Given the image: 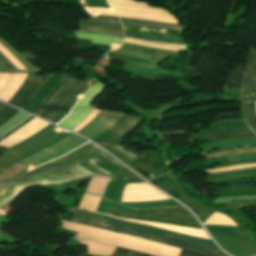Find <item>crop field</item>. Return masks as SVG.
<instances>
[{"instance_id": "crop-field-54", "label": "crop field", "mask_w": 256, "mask_h": 256, "mask_svg": "<svg viewBox=\"0 0 256 256\" xmlns=\"http://www.w3.org/2000/svg\"><path fill=\"white\" fill-rule=\"evenodd\" d=\"M113 148L118 150V151H120L121 153L125 154L126 156H128V157H130L132 159L137 158L135 155L129 153L128 151L124 150L123 148H121L120 146H118L116 144L113 146Z\"/></svg>"}, {"instance_id": "crop-field-58", "label": "crop field", "mask_w": 256, "mask_h": 256, "mask_svg": "<svg viewBox=\"0 0 256 256\" xmlns=\"http://www.w3.org/2000/svg\"><path fill=\"white\" fill-rule=\"evenodd\" d=\"M154 185H156L158 188L162 189L163 191H165L166 193L170 194L171 196L175 197V198H180L178 196H176L175 194H173L172 192H170L168 189H166L164 186H162L161 184L157 183V182H154V181H151Z\"/></svg>"}, {"instance_id": "crop-field-51", "label": "crop field", "mask_w": 256, "mask_h": 256, "mask_svg": "<svg viewBox=\"0 0 256 256\" xmlns=\"http://www.w3.org/2000/svg\"><path fill=\"white\" fill-rule=\"evenodd\" d=\"M108 151H110L114 156H116L118 159H120L122 162L124 163H128L129 161H131L132 159L124 156L123 154L117 152L116 150L114 149H109Z\"/></svg>"}, {"instance_id": "crop-field-49", "label": "crop field", "mask_w": 256, "mask_h": 256, "mask_svg": "<svg viewBox=\"0 0 256 256\" xmlns=\"http://www.w3.org/2000/svg\"><path fill=\"white\" fill-rule=\"evenodd\" d=\"M99 110L94 109L93 112L88 116V118L83 121L80 125H78L73 131L77 132L80 130L83 126H85L88 122H90L97 114Z\"/></svg>"}, {"instance_id": "crop-field-37", "label": "crop field", "mask_w": 256, "mask_h": 256, "mask_svg": "<svg viewBox=\"0 0 256 256\" xmlns=\"http://www.w3.org/2000/svg\"><path fill=\"white\" fill-rule=\"evenodd\" d=\"M71 135H73V134H71V133H69V132L66 133L65 135H63V136L60 137L59 139H57V140H55V141H53V142L47 144L46 146H44V147H42V148H40V149H38V150H36V151H34V152L28 154V155H26V156H24V157H22V158L16 160L15 162L11 163V164L8 165L7 167H5V168H3L2 170H0V173H2V172H3L4 170H6L7 168H9V167H11V166L17 164L18 162H20V161H22V160H24V159H26V158H28V157L34 155V154H36V153H38V152H40V151L46 149V148H48V147L54 145L55 143H57V142H59V141L65 139V138H67V137H69V136H71Z\"/></svg>"}, {"instance_id": "crop-field-12", "label": "crop field", "mask_w": 256, "mask_h": 256, "mask_svg": "<svg viewBox=\"0 0 256 256\" xmlns=\"http://www.w3.org/2000/svg\"><path fill=\"white\" fill-rule=\"evenodd\" d=\"M256 64V50L251 49L247 62V72L244 79V87L242 94V105H243V115L245 120L250 124L251 128L256 133V125L254 123L253 115L250 108V95L252 87V76L254 73V68Z\"/></svg>"}, {"instance_id": "crop-field-3", "label": "crop field", "mask_w": 256, "mask_h": 256, "mask_svg": "<svg viewBox=\"0 0 256 256\" xmlns=\"http://www.w3.org/2000/svg\"><path fill=\"white\" fill-rule=\"evenodd\" d=\"M72 222L88 225L92 227L102 228L106 230H111V231H115L123 234H129L142 239H146V240H150V241H154L162 244H167L171 246H176V247H180V248H184V249H188V250H192L200 253H206V254H211L215 256H227L220 249L205 247V246H200V245H196V244H192V243H188L180 240H175V239L155 235L150 232L140 231V230L112 224V223L101 221V220H95V219L74 215Z\"/></svg>"}, {"instance_id": "crop-field-14", "label": "crop field", "mask_w": 256, "mask_h": 256, "mask_svg": "<svg viewBox=\"0 0 256 256\" xmlns=\"http://www.w3.org/2000/svg\"><path fill=\"white\" fill-rule=\"evenodd\" d=\"M152 51L161 53V54H156L153 53ZM111 53H117V54H122V55H128L144 60H150V61H155L158 62L162 58L166 57L168 53L171 54H178L179 52L177 51H168V50H159V49H151V48H146V47H141V46H136V45H131V44H126L119 48L116 51H113ZM148 54H153V55H160V56H151Z\"/></svg>"}, {"instance_id": "crop-field-34", "label": "crop field", "mask_w": 256, "mask_h": 256, "mask_svg": "<svg viewBox=\"0 0 256 256\" xmlns=\"http://www.w3.org/2000/svg\"><path fill=\"white\" fill-rule=\"evenodd\" d=\"M101 198L84 195L79 207L95 211Z\"/></svg>"}, {"instance_id": "crop-field-56", "label": "crop field", "mask_w": 256, "mask_h": 256, "mask_svg": "<svg viewBox=\"0 0 256 256\" xmlns=\"http://www.w3.org/2000/svg\"><path fill=\"white\" fill-rule=\"evenodd\" d=\"M121 20H125V21H135V22H144V23H152V24H161V25H169V26H179V25H175V24L158 23V22H149V21H141V20H133V19H124V18H121Z\"/></svg>"}, {"instance_id": "crop-field-16", "label": "crop field", "mask_w": 256, "mask_h": 256, "mask_svg": "<svg viewBox=\"0 0 256 256\" xmlns=\"http://www.w3.org/2000/svg\"><path fill=\"white\" fill-rule=\"evenodd\" d=\"M27 73H4L0 80V99L8 102L23 83Z\"/></svg>"}, {"instance_id": "crop-field-36", "label": "crop field", "mask_w": 256, "mask_h": 256, "mask_svg": "<svg viewBox=\"0 0 256 256\" xmlns=\"http://www.w3.org/2000/svg\"><path fill=\"white\" fill-rule=\"evenodd\" d=\"M209 218H220V219H230L228 216L224 214H220L215 212L211 217ZM205 224H215V225H231L236 226L234 221L232 220H219V219H207Z\"/></svg>"}, {"instance_id": "crop-field-65", "label": "crop field", "mask_w": 256, "mask_h": 256, "mask_svg": "<svg viewBox=\"0 0 256 256\" xmlns=\"http://www.w3.org/2000/svg\"><path fill=\"white\" fill-rule=\"evenodd\" d=\"M245 173H256V171H254V172H245ZM234 174H244V173H233V174H224V175H214V176H212V177L215 178V177L226 176V175H234Z\"/></svg>"}, {"instance_id": "crop-field-69", "label": "crop field", "mask_w": 256, "mask_h": 256, "mask_svg": "<svg viewBox=\"0 0 256 256\" xmlns=\"http://www.w3.org/2000/svg\"><path fill=\"white\" fill-rule=\"evenodd\" d=\"M87 161H89V162H91V163H93V164H95V163H97L98 162V160H96L95 158H90L89 160H87Z\"/></svg>"}, {"instance_id": "crop-field-9", "label": "crop field", "mask_w": 256, "mask_h": 256, "mask_svg": "<svg viewBox=\"0 0 256 256\" xmlns=\"http://www.w3.org/2000/svg\"><path fill=\"white\" fill-rule=\"evenodd\" d=\"M143 119L135 117L133 115H125L109 130L95 138L93 141L99 143L104 148H109L125 135L134 130ZM98 144V145H99ZM101 146V147H102Z\"/></svg>"}, {"instance_id": "crop-field-35", "label": "crop field", "mask_w": 256, "mask_h": 256, "mask_svg": "<svg viewBox=\"0 0 256 256\" xmlns=\"http://www.w3.org/2000/svg\"><path fill=\"white\" fill-rule=\"evenodd\" d=\"M107 56H108V58H111V59L141 64V65H147V66H152V67H154V65H155L154 62L144 61V60H140V59H136V58H132V57H128V56H122V55H116V54H110V53H107Z\"/></svg>"}, {"instance_id": "crop-field-40", "label": "crop field", "mask_w": 256, "mask_h": 256, "mask_svg": "<svg viewBox=\"0 0 256 256\" xmlns=\"http://www.w3.org/2000/svg\"><path fill=\"white\" fill-rule=\"evenodd\" d=\"M80 24L92 25V26H101V27H108V28H114V29L122 30L121 24L107 23V22H102V21H94V20L85 21V20H81Z\"/></svg>"}, {"instance_id": "crop-field-4", "label": "crop field", "mask_w": 256, "mask_h": 256, "mask_svg": "<svg viewBox=\"0 0 256 256\" xmlns=\"http://www.w3.org/2000/svg\"><path fill=\"white\" fill-rule=\"evenodd\" d=\"M97 82L99 81L94 79L90 83H86L72 77L50 100L47 106L40 112L39 116L57 124L76 103L77 99L75 98L79 94L84 95Z\"/></svg>"}, {"instance_id": "crop-field-47", "label": "crop field", "mask_w": 256, "mask_h": 256, "mask_svg": "<svg viewBox=\"0 0 256 256\" xmlns=\"http://www.w3.org/2000/svg\"><path fill=\"white\" fill-rule=\"evenodd\" d=\"M152 180H155V181L161 183L162 185H164L166 188H168L170 191H172L173 193L177 194L178 196H180V197L182 196V194H180L168 181L163 180V179H161L159 177L154 178Z\"/></svg>"}, {"instance_id": "crop-field-5", "label": "crop field", "mask_w": 256, "mask_h": 256, "mask_svg": "<svg viewBox=\"0 0 256 256\" xmlns=\"http://www.w3.org/2000/svg\"><path fill=\"white\" fill-rule=\"evenodd\" d=\"M107 214L129 218L139 219L158 223L172 224L178 226L192 227L201 229L192 214L184 209L168 208V209H154V210H142V211H112L108 210Z\"/></svg>"}, {"instance_id": "crop-field-30", "label": "crop field", "mask_w": 256, "mask_h": 256, "mask_svg": "<svg viewBox=\"0 0 256 256\" xmlns=\"http://www.w3.org/2000/svg\"><path fill=\"white\" fill-rule=\"evenodd\" d=\"M127 165H129L131 168L146 178L154 177L152 170L141 157L129 162Z\"/></svg>"}, {"instance_id": "crop-field-38", "label": "crop field", "mask_w": 256, "mask_h": 256, "mask_svg": "<svg viewBox=\"0 0 256 256\" xmlns=\"http://www.w3.org/2000/svg\"><path fill=\"white\" fill-rule=\"evenodd\" d=\"M248 152H256V148H249V149H235L231 151L219 152V153H212V154H205V156L210 158H219L227 155H235V154H242Z\"/></svg>"}, {"instance_id": "crop-field-26", "label": "crop field", "mask_w": 256, "mask_h": 256, "mask_svg": "<svg viewBox=\"0 0 256 256\" xmlns=\"http://www.w3.org/2000/svg\"><path fill=\"white\" fill-rule=\"evenodd\" d=\"M123 179L124 178L122 177L110 176V179L103 197L111 201H115L120 191Z\"/></svg>"}, {"instance_id": "crop-field-59", "label": "crop field", "mask_w": 256, "mask_h": 256, "mask_svg": "<svg viewBox=\"0 0 256 256\" xmlns=\"http://www.w3.org/2000/svg\"><path fill=\"white\" fill-rule=\"evenodd\" d=\"M116 144L120 145L121 147H123L124 149L128 150L129 152L135 154V155L138 156V157L142 155V154L138 153L137 151H135L134 149H132V148H130V147L124 145V144H121V143H119V142L116 143Z\"/></svg>"}, {"instance_id": "crop-field-20", "label": "crop field", "mask_w": 256, "mask_h": 256, "mask_svg": "<svg viewBox=\"0 0 256 256\" xmlns=\"http://www.w3.org/2000/svg\"><path fill=\"white\" fill-rule=\"evenodd\" d=\"M0 51H2L11 61H13L21 70H30L25 66L16 56H14L8 49L0 44ZM2 52H0V68L18 69Z\"/></svg>"}, {"instance_id": "crop-field-57", "label": "crop field", "mask_w": 256, "mask_h": 256, "mask_svg": "<svg viewBox=\"0 0 256 256\" xmlns=\"http://www.w3.org/2000/svg\"><path fill=\"white\" fill-rule=\"evenodd\" d=\"M184 204H186L197 216H199L200 218H202L203 220H205L206 216L203 215L202 213H200L198 210H196L194 207H192L191 205H189L188 203H186L185 201L181 200Z\"/></svg>"}, {"instance_id": "crop-field-46", "label": "crop field", "mask_w": 256, "mask_h": 256, "mask_svg": "<svg viewBox=\"0 0 256 256\" xmlns=\"http://www.w3.org/2000/svg\"><path fill=\"white\" fill-rule=\"evenodd\" d=\"M255 91H256V69L253 78V87H252V96H251V107L254 114L255 122H256V113H255Z\"/></svg>"}, {"instance_id": "crop-field-50", "label": "crop field", "mask_w": 256, "mask_h": 256, "mask_svg": "<svg viewBox=\"0 0 256 256\" xmlns=\"http://www.w3.org/2000/svg\"><path fill=\"white\" fill-rule=\"evenodd\" d=\"M249 131H250V129L237 130V131H230V132H224V133L213 134V135H207V136H200V137H194V138H212V137H217V136H222V135H228V134H234V133H241V132H249Z\"/></svg>"}, {"instance_id": "crop-field-2", "label": "crop field", "mask_w": 256, "mask_h": 256, "mask_svg": "<svg viewBox=\"0 0 256 256\" xmlns=\"http://www.w3.org/2000/svg\"><path fill=\"white\" fill-rule=\"evenodd\" d=\"M62 228L79 232L76 236L99 241L105 244L125 247L137 251L149 253L155 256H177L180 249L166 245L142 240L128 235L110 232L102 229L73 224L63 221ZM178 256H208L188 250L181 249Z\"/></svg>"}, {"instance_id": "crop-field-63", "label": "crop field", "mask_w": 256, "mask_h": 256, "mask_svg": "<svg viewBox=\"0 0 256 256\" xmlns=\"http://www.w3.org/2000/svg\"><path fill=\"white\" fill-rule=\"evenodd\" d=\"M79 165L82 166L83 168L89 170L90 172H92V173H94V174H101V173L97 172L96 170L90 168L89 166H87V165H85V164H83V163H81V164H79Z\"/></svg>"}, {"instance_id": "crop-field-27", "label": "crop field", "mask_w": 256, "mask_h": 256, "mask_svg": "<svg viewBox=\"0 0 256 256\" xmlns=\"http://www.w3.org/2000/svg\"><path fill=\"white\" fill-rule=\"evenodd\" d=\"M157 192L159 191L146 183H138V184H128L123 195L148 194V193H157Z\"/></svg>"}, {"instance_id": "crop-field-23", "label": "crop field", "mask_w": 256, "mask_h": 256, "mask_svg": "<svg viewBox=\"0 0 256 256\" xmlns=\"http://www.w3.org/2000/svg\"><path fill=\"white\" fill-rule=\"evenodd\" d=\"M79 243L88 245V252L90 254L109 256L114 251V246L104 245L99 242L87 241L84 239L75 238Z\"/></svg>"}, {"instance_id": "crop-field-68", "label": "crop field", "mask_w": 256, "mask_h": 256, "mask_svg": "<svg viewBox=\"0 0 256 256\" xmlns=\"http://www.w3.org/2000/svg\"><path fill=\"white\" fill-rule=\"evenodd\" d=\"M92 19H96V20H103V21H110V22H118L120 23V21H115V20H107V19H100V18H94V17H91Z\"/></svg>"}, {"instance_id": "crop-field-66", "label": "crop field", "mask_w": 256, "mask_h": 256, "mask_svg": "<svg viewBox=\"0 0 256 256\" xmlns=\"http://www.w3.org/2000/svg\"><path fill=\"white\" fill-rule=\"evenodd\" d=\"M92 16H95V17H101V18H107V19H115V20H119L118 18H115V17H109V16H98V15H92Z\"/></svg>"}, {"instance_id": "crop-field-28", "label": "crop field", "mask_w": 256, "mask_h": 256, "mask_svg": "<svg viewBox=\"0 0 256 256\" xmlns=\"http://www.w3.org/2000/svg\"><path fill=\"white\" fill-rule=\"evenodd\" d=\"M169 199L168 196L158 193V194H148V195H137V196H122L121 202H146V201H157Z\"/></svg>"}, {"instance_id": "crop-field-42", "label": "crop field", "mask_w": 256, "mask_h": 256, "mask_svg": "<svg viewBox=\"0 0 256 256\" xmlns=\"http://www.w3.org/2000/svg\"><path fill=\"white\" fill-rule=\"evenodd\" d=\"M252 135H254L252 132L245 133V134H235V135L222 136V137H217V138L208 139V140H199V142L218 141V140L233 139V138L246 137V136H252Z\"/></svg>"}, {"instance_id": "crop-field-15", "label": "crop field", "mask_w": 256, "mask_h": 256, "mask_svg": "<svg viewBox=\"0 0 256 256\" xmlns=\"http://www.w3.org/2000/svg\"><path fill=\"white\" fill-rule=\"evenodd\" d=\"M47 124L48 123L35 118V119L31 120L29 123H27L24 127L18 129L16 132H14L9 137L5 138L0 143V145L6 146V147L14 146V145L20 143L21 141L27 139L31 135L35 134L40 129L45 127Z\"/></svg>"}, {"instance_id": "crop-field-8", "label": "crop field", "mask_w": 256, "mask_h": 256, "mask_svg": "<svg viewBox=\"0 0 256 256\" xmlns=\"http://www.w3.org/2000/svg\"><path fill=\"white\" fill-rule=\"evenodd\" d=\"M124 35L149 41L171 42L185 44L182 39L183 31L155 29L147 27L123 25ZM174 36L175 38L167 37Z\"/></svg>"}, {"instance_id": "crop-field-7", "label": "crop field", "mask_w": 256, "mask_h": 256, "mask_svg": "<svg viewBox=\"0 0 256 256\" xmlns=\"http://www.w3.org/2000/svg\"><path fill=\"white\" fill-rule=\"evenodd\" d=\"M87 141L73 135L66 140L48 148L47 150L36 154L24 161H22L24 164L28 165L31 168H34L42 163L48 162L50 160H53L55 158H58L73 149L81 146L82 144L86 143Z\"/></svg>"}, {"instance_id": "crop-field-72", "label": "crop field", "mask_w": 256, "mask_h": 256, "mask_svg": "<svg viewBox=\"0 0 256 256\" xmlns=\"http://www.w3.org/2000/svg\"><path fill=\"white\" fill-rule=\"evenodd\" d=\"M2 73L0 72V77H1Z\"/></svg>"}, {"instance_id": "crop-field-29", "label": "crop field", "mask_w": 256, "mask_h": 256, "mask_svg": "<svg viewBox=\"0 0 256 256\" xmlns=\"http://www.w3.org/2000/svg\"><path fill=\"white\" fill-rule=\"evenodd\" d=\"M80 27H81V30H78V31L123 39L122 31H119V30L106 29V28H100V27H92V26H84V25H80ZM86 30L97 31V32H101V33H93V32H89Z\"/></svg>"}, {"instance_id": "crop-field-25", "label": "crop field", "mask_w": 256, "mask_h": 256, "mask_svg": "<svg viewBox=\"0 0 256 256\" xmlns=\"http://www.w3.org/2000/svg\"><path fill=\"white\" fill-rule=\"evenodd\" d=\"M124 38H125L124 42L126 43L147 46L152 48L170 49V50H182L186 48V45L155 43V42H148V41H143L138 39L126 38V37Z\"/></svg>"}, {"instance_id": "crop-field-44", "label": "crop field", "mask_w": 256, "mask_h": 256, "mask_svg": "<svg viewBox=\"0 0 256 256\" xmlns=\"http://www.w3.org/2000/svg\"><path fill=\"white\" fill-rule=\"evenodd\" d=\"M116 251L120 252L116 256H151V255H147V254H143V253H139V252H135V251L119 248V247L116 248Z\"/></svg>"}, {"instance_id": "crop-field-11", "label": "crop field", "mask_w": 256, "mask_h": 256, "mask_svg": "<svg viewBox=\"0 0 256 256\" xmlns=\"http://www.w3.org/2000/svg\"><path fill=\"white\" fill-rule=\"evenodd\" d=\"M52 75V73H48L44 76L28 74L26 80L10 99L9 103L23 108L24 105L35 94V92L40 88V86L44 82H46Z\"/></svg>"}, {"instance_id": "crop-field-52", "label": "crop field", "mask_w": 256, "mask_h": 256, "mask_svg": "<svg viewBox=\"0 0 256 256\" xmlns=\"http://www.w3.org/2000/svg\"><path fill=\"white\" fill-rule=\"evenodd\" d=\"M95 157L99 158L100 160L104 161L105 163L109 164L110 166H112L113 168H115L117 170L120 169L119 166H117L115 163H113L112 161L108 160L107 158H105L104 156H102L100 154L96 155Z\"/></svg>"}, {"instance_id": "crop-field-24", "label": "crop field", "mask_w": 256, "mask_h": 256, "mask_svg": "<svg viewBox=\"0 0 256 256\" xmlns=\"http://www.w3.org/2000/svg\"><path fill=\"white\" fill-rule=\"evenodd\" d=\"M110 175H93L86 193L102 196Z\"/></svg>"}, {"instance_id": "crop-field-18", "label": "crop field", "mask_w": 256, "mask_h": 256, "mask_svg": "<svg viewBox=\"0 0 256 256\" xmlns=\"http://www.w3.org/2000/svg\"><path fill=\"white\" fill-rule=\"evenodd\" d=\"M86 211H88V210H86ZM89 212H93V211H89ZM93 213L106 215V214L98 213V212H93ZM107 216H109V215H107ZM119 219H121V218H119ZM121 220L137 222V223H141V224H145V225H149V226H153V227H158V228H162V229H166V230H170V231H175V232H180V233H184V234H188V235H192V236L210 239L208 237V235L205 233V231H201V230H195V229H189V228H183V227H177V226H171V225H165V224H158V223H151V222H144V221H133V220H127V219H121Z\"/></svg>"}, {"instance_id": "crop-field-62", "label": "crop field", "mask_w": 256, "mask_h": 256, "mask_svg": "<svg viewBox=\"0 0 256 256\" xmlns=\"http://www.w3.org/2000/svg\"><path fill=\"white\" fill-rule=\"evenodd\" d=\"M83 163L89 165L90 167L96 169L97 171H99V172H101V173H103V174H109V173H107L106 171H104V170H102V169H100V168L94 166L93 164H91V163H89V162H87V161H85V162H83Z\"/></svg>"}, {"instance_id": "crop-field-45", "label": "crop field", "mask_w": 256, "mask_h": 256, "mask_svg": "<svg viewBox=\"0 0 256 256\" xmlns=\"http://www.w3.org/2000/svg\"><path fill=\"white\" fill-rule=\"evenodd\" d=\"M53 126H54V125H51V124L47 125L45 128H43L42 130H40L38 133H36V134L33 135L32 137H30V138H28L27 140L23 141L22 143L16 145L15 147H13V148H11V149H7V150H5V151H3V152L6 154L7 152H9V151H11V150H13V149H15V148L21 146L22 144H24V143H26V142H28V141L34 139L35 137L41 135L42 133H44L45 131L49 130V129L52 128Z\"/></svg>"}, {"instance_id": "crop-field-71", "label": "crop field", "mask_w": 256, "mask_h": 256, "mask_svg": "<svg viewBox=\"0 0 256 256\" xmlns=\"http://www.w3.org/2000/svg\"><path fill=\"white\" fill-rule=\"evenodd\" d=\"M4 107V104L0 103V110Z\"/></svg>"}, {"instance_id": "crop-field-33", "label": "crop field", "mask_w": 256, "mask_h": 256, "mask_svg": "<svg viewBox=\"0 0 256 256\" xmlns=\"http://www.w3.org/2000/svg\"><path fill=\"white\" fill-rule=\"evenodd\" d=\"M244 71V69L235 67L233 72L228 77L225 86L241 88Z\"/></svg>"}, {"instance_id": "crop-field-32", "label": "crop field", "mask_w": 256, "mask_h": 256, "mask_svg": "<svg viewBox=\"0 0 256 256\" xmlns=\"http://www.w3.org/2000/svg\"><path fill=\"white\" fill-rule=\"evenodd\" d=\"M105 88L106 87L99 82L85 94L88 96L86 100L84 102L79 101L75 107H88V105L95 99V97L100 94Z\"/></svg>"}, {"instance_id": "crop-field-1", "label": "crop field", "mask_w": 256, "mask_h": 256, "mask_svg": "<svg viewBox=\"0 0 256 256\" xmlns=\"http://www.w3.org/2000/svg\"><path fill=\"white\" fill-rule=\"evenodd\" d=\"M101 152H103V150L89 142L54 161L45 163L27 172L15 179L0 194V208L16 198L28 187L34 185L59 184L93 175L77 164Z\"/></svg>"}, {"instance_id": "crop-field-39", "label": "crop field", "mask_w": 256, "mask_h": 256, "mask_svg": "<svg viewBox=\"0 0 256 256\" xmlns=\"http://www.w3.org/2000/svg\"><path fill=\"white\" fill-rule=\"evenodd\" d=\"M19 111L15 110L7 105L0 111V126L14 117Z\"/></svg>"}, {"instance_id": "crop-field-6", "label": "crop field", "mask_w": 256, "mask_h": 256, "mask_svg": "<svg viewBox=\"0 0 256 256\" xmlns=\"http://www.w3.org/2000/svg\"><path fill=\"white\" fill-rule=\"evenodd\" d=\"M107 1L109 5L112 7V9L117 13L118 17L146 19V20H154V21L178 24L177 19L174 16L170 15L164 9L150 7V6L132 5V4H126V3L116 2V1L132 2V3L148 5L147 3L130 1V0H116V1L107 0Z\"/></svg>"}, {"instance_id": "crop-field-10", "label": "crop field", "mask_w": 256, "mask_h": 256, "mask_svg": "<svg viewBox=\"0 0 256 256\" xmlns=\"http://www.w3.org/2000/svg\"><path fill=\"white\" fill-rule=\"evenodd\" d=\"M66 211L69 213H72V214L80 215V216H85V217H90V218H98V219H102L105 221L113 222V223L124 225V226H129V227H134V228H139V229L155 232V233H158V234H161L164 236H168V237H172V238H176V239H182V240H187V241H191V242H195V243H199V244L217 247L212 241L202 239V238L185 236V235H181V234H177V233H173V232H169V231H165V230H161V229H157V228H153V227H149V226H145V225H141V224H137V223L121 221V220L113 219L110 217L97 215V214H93V213H88V212H83V211H79V210L66 209Z\"/></svg>"}, {"instance_id": "crop-field-41", "label": "crop field", "mask_w": 256, "mask_h": 256, "mask_svg": "<svg viewBox=\"0 0 256 256\" xmlns=\"http://www.w3.org/2000/svg\"><path fill=\"white\" fill-rule=\"evenodd\" d=\"M248 128V126H239V127H216L211 129L202 130L201 134H207V133H213V132H219V131H226V130H235V129H245Z\"/></svg>"}, {"instance_id": "crop-field-61", "label": "crop field", "mask_w": 256, "mask_h": 256, "mask_svg": "<svg viewBox=\"0 0 256 256\" xmlns=\"http://www.w3.org/2000/svg\"><path fill=\"white\" fill-rule=\"evenodd\" d=\"M237 125H246V123L214 124V125H212V127H216V126H237Z\"/></svg>"}, {"instance_id": "crop-field-53", "label": "crop field", "mask_w": 256, "mask_h": 256, "mask_svg": "<svg viewBox=\"0 0 256 256\" xmlns=\"http://www.w3.org/2000/svg\"><path fill=\"white\" fill-rule=\"evenodd\" d=\"M245 182H251L250 179L246 180H238V181H220V182H214L216 186L221 185V184H234V183H245Z\"/></svg>"}, {"instance_id": "crop-field-64", "label": "crop field", "mask_w": 256, "mask_h": 256, "mask_svg": "<svg viewBox=\"0 0 256 256\" xmlns=\"http://www.w3.org/2000/svg\"><path fill=\"white\" fill-rule=\"evenodd\" d=\"M103 154L104 156H106L107 158H109L110 160H112L113 162H115L116 164H118L119 166H123L121 165L119 162H117L115 159H113L111 156H109L107 153L103 152L101 153Z\"/></svg>"}, {"instance_id": "crop-field-17", "label": "crop field", "mask_w": 256, "mask_h": 256, "mask_svg": "<svg viewBox=\"0 0 256 256\" xmlns=\"http://www.w3.org/2000/svg\"><path fill=\"white\" fill-rule=\"evenodd\" d=\"M117 121L118 119L97 115L90 123H88L77 133L92 140L107 129H109Z\"/></svg>"}, {"instance_id": "crop-field-31", "label": "crop field", "mask_w": 256, "mask_h": 256, "mask_svg": "<svg viewBox=\"0 0 256 256\" xmlns=\"http://www.w3.org/2000/svg\"><path fill=\"white\" fill-rule=\"evenodd\" d=\"M76 37L87 38V39L100 41V42H106V43H109V44L92 41L94 43L116 46V47H119L122 44V40H120V39H114V38H109V37L84 34V33H79V32H76Z\"/></svg>"}, {"instance_id": "crop-field-55", "label": "crop field", "mask_w": 256, "mask_h": 256, "mask_svg": "<svg viewBox=\"0 0 256 256\" xmlns=\"http://www.w3.org/2000/svg\"><path fill=\"white\" fill-rule=\"evenodd\" d=\"M242 187H254L252 184H241V185H233V186H221L217 187L218 189H229V188H242Z\"/></svg>"}, {"instance_id": "crop-field-67", "label": "crop field", "mask_w": 256, "mask_h": 256, "mask_svg": "<svg viewBox=\"0 0 256 256\" xmlns=\"http://www.w3.org/2000/svg\"><path fill=\"white\" fill-rule=\"evenodd\" d=\"M252 160H256V158L241 159V160H235V161H231V162H238V161H252ZM231 162H230V163H231Z\"/></svg>"}, {"instance_id": "crop-field-48", "label": "crop field", "mask_w": 256, "mask_h": 256, "mask_svg": "<svg viewBox=\"0 0 256 256\" xmlns=\"http://www.w3.org/2000/svg\"><path fill=\"white\" fill-rule=\"evenodd\" d=\"M121 22H122V24H127V25H137V26H147V27H157V28L182 30L181 28H178V27L156 26V25H150V24L133 23V22H125V21H121Z\"/></svg>"}, {"instance_id": "crop-field-43", "label": "crop field", "mask_w": 256, "mask_h": 256, "mask_svg": "<svg viewBox=\"0 0 256 256\" xmlns=\"http://www.w3.org/2000/svg\"><path fill=\"white\" fill-rule=\"evenodd\" d=\"M249 167H256V164H247V165L230 166V167H224V168L206 170V172H208V173L222 172V171H228V170L240 169V168H249Z\"/></svg>"}, {"instance_id": "crop-field-19", "label": "crop field", "mask_w": 256, "mask_h": 256, "mask_svg": "<svg viewBox=\"0 0 256 256\" xmlns=\"http://www.w3.org/2000/svg\"><path fill=\"white\" fill-rule=\"evenodd\" d=\"M93 110V108H73L72 112L63 119L59 125L72 130L81 123Z\"/></svg>"}, {"instance_id": "crop-field-22", "label": "crop field", "mask_w": 256, "mask_h": 256, "mask_svg": "<svg viewBox=\"0 0 256 256\" xmlns=\"http://www.w3.org/2000/svg\"><path fill=\"white\" fill-rule=\"evenodd\" d=\"M249 144H256V137L226 140V141L213 142V143L202 144V145H205L206 150H214V149H220L225 147L249 145ZM206 150H203V151H206Z\"/></svg>"}, {"instance_id": "crop-field-21", "label": "crop field", "mask_w": 256, "mask_h": 256, "mask_svg": "<svg viewBox=\"0 0 256 256\" xmlns=\"http://www.w3.org/2000/svg\"><path fill=\"white\" fill-rule=\"evenodd\" d=\"M205 227L208 229L210 233L214 234L251 238L244 230V228L214 225H206Z\"/></svg>"}, {"instance_id": "crop-field-60", "label": "crop field", "mask_w": 256, "mask_h": 256, "mask_svg": "<svg viewBox=\"0 0 256 256\" xmlns=\"http://www.w3.org/2000/svg\"><path fill=\"white\" fill-rule=\"evenodd\" d=\"M244 147H256V145L241 146V147H232V148H226V149L214 150V151H209V152H202L201 154H204V153H211V152H219V151H225V150H231V149H235V148H244Z\"/></svg>"}, {"instance_id": "crop-field-13", "label": "crop field", "mask_w": 256, "mask_h": 256, "mask_svg": "<svg viewBox=\"0 0 256 256\" xmlns=\"http://www.w3.org/2000/svg\"><path fill=\"white\" fill-rule=\"evenodd\" d=\"M176 206H181V205L172 199L158 201V202H146V203H112L102 198L96 211L105 213L107 209L133 210V209H149V208L176 207Z\"/></svg>"}, {"instance_id": "crop-field-70", "label": "crop field", "mask_w": 256, "mask_h": 256, "mask_svg": "<svg viewBox=\"0 0 256 256\" xmlns=\"http://www.w3.org/2000/svg\"><path fill=\"white\" fill-rule=\"evenodd\" d=\"M6 185L3 184L1 181H0V192L3 190V188L5 187Z\"/></svg>"}]
</instances>
